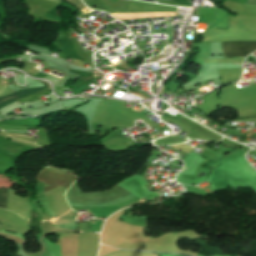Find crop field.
I'll use <instances>...</instances> for the list:
<instances>
[{"instance_id": "crop-field-1", "label": "crop field", "mask_w": 256, "mask_h": 256, "mask_svg": "<svg viewBox=\"0 0 256 256\" xmlns=\"http://www.w3.org/2000/svg\"><path fill=\"white\" fill-rule=\"evenodd\" d=\"M132 194L128 189L116 185L110 190L104 192H94V193H82L77 187V181H75L74 185L70 187L68 192L66 193V199L69 204H85V203H103L109 201L119 200L125 196ZM134 196V194L123 198L119 201L103 203V204H85V205H70V206H104L108 204H113L117 202H121L127 198ZM142 200L138 197L134 196L128 200H125L121 203L108 205L104 207H72V209H88L95 217H108L116 210L128 206L133 203L141 202Z\"/></svg>"}, {"instance_id": "crop-field-2", "label": "crop field", "mask_w": 256, "mask_h": 256, "mask_svg": "<svg viewBox=\"0 0 256 256\" xmlns=\"http://www.w3.org/2000/svg\"><path fill=\"white\" fill-rule=\"evenodd\" d=\"M256 50V41H225L222 42L224 58L246 57Z\"/></svg>"}, {"instance_id": "crop-field-3", "label": "crop field", "mask_w": 256, "mask_h": 256, "mask_svg": "<svg viewBox=\"0 0 256 256\" xmlns=\"http://www.w3.org/2000/svg\"><path fill=\"white\" fill-rule=\"evenodd\" d=\"M45 87L33 88L28 90L17 91L11 95H7L0 98V108L18 100L21 98L29 97L35 93L45 90Z\"/></svg>"}, {"instance_id": "crop-field-4", "label": "crop field", "mask_w": 256, "mask_h": 256, "mask_svg": "<svg viewBox=\"0 0 256 256\" xmlns=\"http://www.w3.org/2000/svg\"><path fill=\"white\" fill-rule=\"evenodd\" d=\"M51 227L77 229V224H75L73 220L57 218L56 221L51 225Z\"/></svg>"}, {"instance_id": "crop-field-5", "label": "crop field", "mask_w": 256, "mask_h": 256, "mask_svg": "<svg viewBox=\"0 0 256 256\" xmlns=\"http://www.w3.org/2000/svg\"><path fill=\"white\" fill-rule=\"evenodd\" d=\"M7 190L8 189H0V207L6 209L7 202Z\"/></svg>"}, {"instance_id": "crop-field-6", "label": "crop field", "mask_w": 256, "mask_h": 256, "mask_svg": "<svg viewBox=\"0 0 256 256\" xmlns=\"http://www.w3.org/2000/svg\"><path fill=\"white\" fill-rule=\"evenodd\" d=\"M245 3L256 4V0H246Z\"/></svg>"}, {"instance_id": "crop-field-7", "label": "crop field", "mask_w": 256, "mask_h": 256, "mask_svg": "<svg viewBox=\"0 0 256 256\" xmlns=\"http://www.w3.org/2000/svg\"><path fill=\"white\" fill-rule=\"evenodd\" d=\"M4 132H6V131H4ZM16 133H26V132H16Z\"/></svg>"}, {"instance_id": "crop-field-8", "label": "crop field", "mask_w": 256, "mask_h": 256, "mask_svg": "<svg viewBox=\"0 0 256 256\" xmlns=\"http://www.w3.org/2000/svg\"><path fill=\"white\" fill-rule=\"evenodd\" d=\"M1 141V140H0Z\"/></svg>"}, {"instance_id": "crop-field-9", "label": "crop field", "mask_w": 256, "mask_h": 256, "mask_svg": "<svg viewBox=\"0 0 256 256\" xmlns=\"http://www.w3.org/2000/svg\"><path fill=\"white\" fill-rule=\"evenodd\" d=\"M4 83V82H3Z\"/></svg>"}]
</instances>
